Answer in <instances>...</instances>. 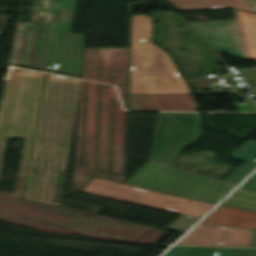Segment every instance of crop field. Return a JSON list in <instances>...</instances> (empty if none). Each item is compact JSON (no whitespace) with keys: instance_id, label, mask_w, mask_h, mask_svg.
Wrapping results in <instances>:
<instances>
[{"instance_id":"obj_24","label":"crop field","mask_w":256,"mask_h":256,"mask_svg":"<svg viewBox=\"0 0 256 256\" xmlns=\"http://www.w3.org/2000/svg\"><path fill=\"white\" fill-rule=\"evenodd\" d=\"M246 1L253 8V10L256 12V0H246Z\"/></svg>"},{"instance_id":"obj_18","label":"crop field","mask_w":256,"mask_h":256,"mask_svg":"<svg viewBox=\"0 0 256 256\" xmlns=\"http://www.w3.org/2000/svg\"><path fill=\"white\" fill-rule=\"evenodd\" d=\"M197 220H198V218L181 215L166 228L184 232L187 228H189Z\"/></svg>"},{"instance_id":"obj_21","label":"crop field","mask_w":256,"mask_h":256,"mask_svg":"<svg viewBox=\"0 0 256 256\" xmlns=\"http://www.w3.org/2000/svg\"><path fill=\"white\" fill-rule=\"evenodd\" d=\"M241 187L256 191V172L247 181H245Z\"/></svg>"},{"instance_id":"obj_6","label":"crop field","mask_w":256,"mask_h":256,"mask_svg":"<svg viewBox=\"0 0 256 256\" xmlns=\"http://www.w3.org/2000/svg\"><path fill=\"white\" fill-rule=\"evenodd\" d=\"M200 123L199 113L161 112L152 159L172 165L185 145L199 139Z\"/></svg>"},{"instance_id":"obj_15","label":"crop field","mask_w":256,"mask_h":256,"mask_svg":"<svg viewBox=\"0 0 256 256\" xmlns=\"http://www.w3.org/2000/svg\"><path fill=\"white\" fill-rule=\"evenodd\" d=\"M236 12L247 56L256 59V14L238 10Z\"/></svg>"},{"instance_id":"obj_22","label":"crop field","mask_w":256,"mask_h":256,"mask_svg":"<svg viewBox=\"0 0 256 256\" xmlns=\"http://www.w3.org/2000/svg\"><path fill=\"white\" fill-rule=\"evenodd\" d=\"M225 77H226V78L228 79V81L235 87V89H236L237 91L242 90L241 88H238V87L236 86V84L234 83L233 78H232V76H231L230 74L225 75Z\"/></svg>"},{"instance_id":"obj_16","label":"crop field","mask_w":256,"mask_h":256,"mask_svg":"<svg viewBox=\"0 0 256 256\" xmlns=\"http://www.w3.org/2000/svg\"><path fill=\"white\" fill-rule=\"evenodd\" d=\"M222 204L256 211V192L238 188Z\"/></svg>"},{"instance_id":"obj_9","label":"crop field","mask_w":256,"mask_h":256,"mask_svg":"<svg viewBox=\"0 0 256 256\" xmlns=\"http://www.w3.org/2000/svg\"><path fill=\"white\" fill-rule=\"evenodd\" d=\"M187 24L215 51L228 53L232 57L245 61L253 60L245 56L236 20L192 22Z\"/></svg>"},{"instance_id":"obj_10","label":"crop field","mask_w":256,"mask_h":256,"mask_svg":"<svg viewBox=\"0 0 256 256\" xmlns=\"http://www.w3.org/2000/svg\"><path fill=\"white\" fill-rule=\"evenodd\" d=\"M252 229L198 224L177 244L250 246Z\"/></svg>"},{"instance_id":"obj_5","label":"crop field","mask_w":256,"mask_h":256,"mask_svg":"<svg viewBox=\"0 0 256 256\" xmlns=\"http://www.w3.org/2000/svg\"><path fill=\"white\" fill-rule=\"evenodd\" d=\"M84 192L200 218L213 204L158 193L93 177Z\"/></svg>"},{"instance_id":"obj_12","label":"crop field","mask_w":256,"mask_h":256,"mask_svg":"<svg viewBox=\"0 0 256 256\" xmlns=\"http://www.w3.org/2000/svg\"><path fill=\"white\" fill-rule=\"evenodd\" d=\"M163 256H256V248L173 246Z\"/></svg>"},{"instance_id":"obj_19","label":"crop field","mask_w":256,"mask_h":256,"mask_svg":"<svg viewBox=\"0 0 256 256\" xmlns=\"http://www.w3.org/2000/svg\"><path fill=\"white\" fill-rule=\"evenodd\" d=\"M246 103L240 104L238 102H234V105L240 110V111H256L255 104L251 101L250 98L245 99Z\"/></svg>"},{"instance_id":"obj_14","label":"crop field","mask_w":256,"mask_h":256,"mask_svg":"<svg viewBox=\"0 0 256 256\" xmlns=\"http://www.w3.org/2000/svg\"><path fill=\"white\" fill-rule=\"evenodd\" d=\"M233 158L247 161L236 172H234L225 182L237 185L256 167V142H248L240 149L232 153Z\"/></svg>"},{"instance_id":"obj_2","label":"crop field","mask_w":256,"mask_h":256,"mask_svg":"<svg viewBox=\"0 0 256 256\" xmlns=\"http://www.w3.org/2000/svg\"><path fill=\"white\" fill-rule=\"evenodd\" d=\"M146 15L132 16L129 94L190 93L169 55L152 44Z\"/></svg>"},{"instance_id":"obj_11","label":"crop field","mask_w":256,"mask_h":256,"mask_svg":"<svg viewBox=\"0 0 256 256\" xmlns=\"http://www.w3.org/2000/svg\"><path fill=\"white\" fill-rule=\"evenodd\" d=\"M200 223L256 228V212L219 205Z\"/></svg>"},{"instance_id":"obj_7","label":"crop field","mask_w":256,"mask_h":256,"mask_svg":"<svg viewBox=\"0 0 256 256\" xmlns=\"http://www.w3.org/2000/svg\"><path fill=\"white\" fill-rule=\"evenodd\" d=\"M77 0H62L48 71L79 77L84 34L70 33Z\"/></svg>"},{"instance_id":"obj_23","label":"crop field","mask_w":256,"mask_h":256,"mask_svg":"<svg viewBox=\"0 0 256 256\" xmlns=\"http://www.w3.org/2000/svg\"><path fill=\"white\" fill-rule=\"evenodd\" d=\"M251 246H256V229H253Z\"/></svg>"},{"instance_id":"obj_1","label":"crop field","mask_w":256,"mask_h":256,"mask_svg":"<svg viewBox=\"0 0 256 256\" xmlns=\"http://www.w3.org/2000/svg\"><path fill=\"white\" fill-rule=\"evenodd\" d=\"M0 220L60 234L78 233L131 243H136L138 238L152 228L1 194ZM161 233L159 229L152 228L138 242L150 243L155 241Z\"/></svg>"},{"instance_id":"obj_20","label":"crop field","mask_w":256,"mask_h":256,"mask_svg":"<svg viewBox=\"0 0 256 256\" xmlns=\"http://www.w3.org/2000/svg\"><path fill=\"white\" fill-rule=\"evenodd\" d=\"M244 80H255L256 81V69H245L239 70Z\"/></svg>"},{"instance_id":"obj_8","label":"crop field","mask_w":256,"mask_h":256,"mask_svg":"<svg viewBox=\"0 0 256 256\" xmlns=\"http://www.w3.org/2000/svg\"><path fill=\"white\" fill-rule=\"evenodd\" d=\"M14 70L40 74L38 72L22 70L17 68H14ZM34 81L35 79H27V78H19L18 80L7 139L24 137L29 108H30V102H31V97L33 92ZM32 140L33 138L25 137L18 175H17L13 194L0 192L1 194H6V195L21 198Z\"/></svg>"},{"instance_id":"obj_3","label":"crop field","mask_w":256,"mask_h":256,"mask_svg":"<svg viewBox=\"0 0 256 256\" xmlns=\"http://www.w3.org/2000/svg\"><path fill=\"white\" fill-rule=\"evenodd\" d=\"M149 160L126 183L216 203L234 185Z\"/></svg>"},{"instance_id":"obj_4","label":"crop field","mask_w":256,"mask_h":256,"mask_svg":"<svg viewBox=\"0 0 256 256\" xmlns=\"http://www.w3.org/2000/svg\"><path fill=\"white\" fill-rule=\"evenodd\" d=\"M61 0H36L31 23L25 22L19 51L10 65L47 70Z\"/></svg>"},{"instance_id":"obj_25","label":"crop field","mask_w":256,"mask_h":256,"mask_svg":"<svg viewBox=\"0 0 256 256\" xmlns=\"http://www.w3.org/2000/svg\"><path fill=\"white\" fill-rule=\"evenodd\" d=\"M251 92H252V94L256 95V90L255 91H251Z\"/></svg>"},{"instance_id":"obj_17","label":"crop field","mask_w":256,"mask_h":256,"mask_svg":"<svg viewBox=\"0 0 256 256\" xmlns=\"http://www.w3.org/2000/svg\"><path fill=\"white\" fill-rule=\"evenodd\" d=\"M60 206L94 214H97L99 211L103 209L100 206L74 201L70 199H62Z\"/></svg>"},{"instance_id":"obj_13","label":"crop field","mask_w":256,"mask_h":256,"mask_svg":"<svg viewBox=\"0 0 256 256\" xmlns=\"http://www.w3.org/2000/svg\"><path fill=\"white\" fill-rule=\"evenodd\" d=\"M168 1L171 2L180 11L237 8L245 11L254 12L252 8L245 2V0H168Z\"/></svg>"}]
</instances>
